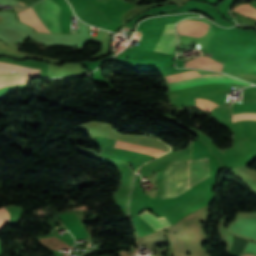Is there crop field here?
<instances>
[{
	"instance_id": "18",
	"label": "crop field",
	"mask_w": 256,
	"mask_h": 256,
	"mask_svg": "<svg viewBox=\"0 0 256 256\" xmlns=\"http://www.w3.org/2000/svg\"><path fill=\"white\" fill-rule=\"evenodd\" d=\"M244 256H249V255H244Z\"/></svg>"
},
{
	"instance_id": "12",
	"label": "crop field",
	"mask_w": 256,
	"mask_h": 256,
	"mask_svg": "<svg viewBox=\"0 0 256 256\" xmlns=\"http://www.w3.org/2000/svg\"><path fill=\"white\" fill-rule=\"evenodd\" d=\"M217 120L221 122H229V110L228 107H218L212 110Z\"/></svg>"
},
{
	"instance_id": "7",
	"label": "crop field",
	"mask_w": 256,
	"mask_h": 256,
	"mask_svg": "<svg viewBox=\"0 0 256 256\" xmlns=\"http://www.w3.org/2000/svg\"><path fill=\"white\" fill-rule=\"evenodd\" d=\"M221 63L207 57L200 56L194 60L187 62L186 67H195V68H203V69H211L220 71Z\"/></svg>"
},
{
	"instance_id": "13",
	"label": "crop field",
	"mask_w": 256,
	"mask_h": 256,
	"mask_svg": "<svg viewBox=\"0 0 256 256\" xmlns=\"http://www.w3.org/2000/svg\"><path fill=\"white\" fill-rule=\"evenodd\" d=\"M0 67L11 68V69H16V70H20V71L40 74V70L22 67V66L13 65V64H8V63H4V62H0ZM16 70H14V71H16ZM20 71H18V72H20ZM25 72H22V73H25ZM31 73H26V74L38 76L37 74H31Z\"/></svg>"
},
{
	"instance_id": "2",
	"label": "crop field",
	"mask_w": 256,
	"mask_h": 256,
	"mask_svg": "<svg viewBox=\"0 0 256 256\" xmlns=\"http://www.w3.org/2000/svg\"><path fill=\"white\" fill-rule=\"evenodd\" d=\"M166 78L169 82L171 90L188 88L208 83L234 82L244 85H250L225 74L202 76L198 74L194 69L184 73L168 76Z\"/></svg>"
},
{
	"instance_id": "14",
	"label": "crop field",
	"mask_w": 256,
	"mask_h": 256,
	"mask_svg": "<svg viewBox=\"0 0 256 256\" xmlns=\"http://www.w3.org/2000/svg\"><path fill=\"white\" fill-rule=\"evenodd\" d=\"M196 106L209 112L213 107L218 106V104L210 100L196 98Z\"/></svg>"
},
{
	"instance_id": "9",
	"label": "crop field",
	"mask_w": 256,
	"mask_h": 256,
	"mask_svg": "<svg viewBox=\"0 0 256 256\" xmlns=\"http://www.w3.org/2000/svg\"><path fill=\"white\" fill-rule=\"evenodd\" d=\"M22 79L28 81L29 77L20 75V74H13V75H0V81L2 80H16ZM17 80V81H2L0 82V88L7 86V85H18V84H26V81Z\"/></svg>"
},
{
	"instance_id": "5",
	"label": "crop field",
	"mask_w": 256,
	"mask_h": 256,
	"mask_svg": "<svg viewBox=\"0 0 256 256\" xmlns=\"http://www.w3.org/2000/svg\"><path fill=\"white\" fill-rule=\"evenodd\" d=\"M19 19L25 23H28L36 28L40 32H49L46 26H44L38 19L37 15L32 8L24 9L18 13ZM27 24V25H28ZM29 25V26H30ZM31 26V27H32ZM33 27V28H34ZM50 33V32H49Z\"/></svg>"
},
{
	"instance_id": "16",
	"label": "crop field",
	"mask_w": 256,
	"mask_h": 256,
	"mask_svg": "<svg viewBox=\"0 0 256 256\" xmlns=\"http://www.w3.org/2000/svg\"><path fill=\"white\" fill-rule=\"evenodd\" d=\"M9 214L3 208L0 209V229L7 224Z\"/></svg>"
},
{
	"instance_id": "4",
	"label": "crop field",
	"mask_w": 256,
	"mask_h": 256,
	"mask_svg": "<svg viewBox=\"0 0 256 256\" xmlns=\"http://www.w3.org/2000/svg\"><path fill=\"white\" fill-rule=\"evenodd\" d=\"M175 38L177 37L174 31V24H166L154 51L171 53L175 49Z\"/></svg>"
},
{
	"instance_id": "15",
	"label": "crop field",
	"mask_w": 256,
	"mask_h": 256,
	"mask_svg": "<svg viewBox=\"0 0 256 256\" xmlns=\"http://www.w3.org/2000/svg\"><path fill=\"white\" fill-rule=\"evenodd\" d=\"M246 119L256 120V114H239L232 116V122Z\"/></svg>"
},
{
	"instance_id": "3",
	"label": "crop field",
	"mask_w": 256,
	"mask_h": 256,
	"mask_svg": "<svg viewBox=\"0 0 256 256\" xmlns=\"http://www.w3.org/2000/svg\"><path fill=\"white\" fill-rule=\"evenodd\" d=\"M40 3L33 6L36 13L38 11ZM59 11L60 7L54 2H52L51 0H43L37 13L38 17L53 33H61L59 27Z\"/></svg>"
},
{
	"instance_id": "10",
	"label": "crop field",
	"mask_w": 256,
	"mask_h": 256,
	"mask_svg": "<svg viewBox=\"0 0 256 256\" xmlns=\"http://www.w3.org/2000/svg\"><path fill=\"white\" fill-rule=\"evenodd\" d=\"M42 244L54 249V250H58L59 247L62 248H68L71 249L72 247H70L67 243L61 241L60 239L56 238V237H51V238H45V239H40L39 240ZM51 249V250H52Z\"/></svg>"
},
{
	"instance_id": "6",
	"label": "crop field",
	"mask_w": 256,
	"mask_h": 256,
	"mask_svg": "<svg viewBox=\"0 0 256 256\" xmlns=\"http://www.w3.org/2000/svg\"><path fill=\"white\" fill-rule=\"evenodd\" d=\"M114 148L121 149V150L132 151V152H137V153H141V154H145V155H149V156H153V157H157L158 155L163 153V151L156 150V149H153V148L134 145V144H129V143H124V142H119V141L116 142V145H115Z\"/></svg>"
},
{
	"instance_id": "11",
	"label": "crop field",
	"mask_w": 256,
	"mask_h": 256,
	"mask_svg": "<svg viewBox=\"0 0 256 256\" xmlns=\"http://www.w3.org/2000/svg\"><path fill=\"white\" fill-rule=\"evenodd\" d=\"M254 5H255V3H253V4H242V5H238V7L242 8V9H244V10H246V11H248V12L254 14V15H256V6H254ZM232 10H234L236 12H239V13L245 15V16L256 18V16H253L250 13H248V12H246L244 10H241V9H239L237 7L233 8Z\"/></svg>"
},
{
	"instance_id": "17",
	"label": "crop field",
	"mask_w": 256,
	"mask_h": 256,
	"mask_svg": "<svg viewBox=\"0 0 256 256\" xmlns=\"http://www.w3.org/2000/svg\"><path fill=\"white\" fill-rule=\"evenodd\" d=\"M0 73H11V72L4 71V70H1V69H0Z\"/></svg>"
},
{
	"instance_id": "8",
	"label": "crop field",
	"mask_w": 256,
	"mask_h": 256,
	"mask_svg": "<svg viewBox=\"0 0 256 256\" xmlns=\"http://www.w3.org/2000/svg\"><path fill=\"white\" fill-rule=\"evenodd\" d=\"M142 219H144L155 231L165 228V226L170 225L169 221L165 219L164 217H160L159 219L149 213L148 211H143L142 213L138 214ZM171 226V225H170Z\"/></svg>"
},
{
	"instance_id": "1",
	"label": "crop field",
	"mask_w": 256,
	"mask_h": 256,
	"mask_svg": "<svg viewBox=\"0 0 256 256\" xmlns=\"http://www.w3.org/2000/svg\"><path fill=\"white\" fill-rule=\"evenodd\" d=\"M209 176L211 174L206 157L189 160V188ZM186 190L188 160L172 163L164 172L162 197L178 196Z\"/></svg>"
}]
</instances>
